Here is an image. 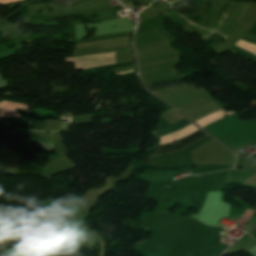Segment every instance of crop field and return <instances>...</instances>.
Returning a JSON list of instances; mask_svg holds the SVG:
<instances>
[{"label": "crop field", "mask_w": 256, "mask_h": 256, "mask_svg": "<svg viewBox=\"0 0 256 256\" xmlns=\"http://www.w3.org/2000/svg\"><path fill=\"white\" fill-rule=\"evenodd\" d=\"M52 255L54 256H93V251L79 246V245H70L64 244L53 251ZM48 255V256H52Z\"/></svg>", "instance_id": "8a807250"}, {"label": "crop field", "mask_w": 256, "mask_h": 256, "mask_svg": "<svg viewBox=\"0 0 256 256\" xmlns=\"http://www.w3.org/2000/svg\"><path fill=\"white\" fill-rule=\"evenodd\" d=\"M204 135L206 134H204L202 131L199 130L194 134L177 141L178 143L176 144L170 143L162 146H156L154 148L157 154L178 150V149H181L183 146L191 144L192 142L196 141L197 139L201 138Z\"/></svg>", "instance_id": "ac0d7876"}, {"label": "crop field", "mask_w": 256, "mask_h": 256, "mask_svg": "<svg viewBox=\"0 0 256 256\" xmlns=\"http://www.w3.org/2000/svg\"><path fill=\"white\" fill-rule=\"evenodd\" d=\"M189 124H191V123H189L187 120L183 119L168 128L157 130V131H152V133L156 138H158L160 136H164V135H168L173 132H176Z\"/></svg>", "instance_id": "34b2d1b8"}, {"label": "crop field", "mask_w": 256, "mask_h": 256, "mask_svg": "<svg viewBox=\"0 0 256 256\" xmlns=\"http://www.w3.org/2000/svg\"><path fill=\"white\" fill-rule=\"evenodd\" d=\"M182 80H184V78L150 83V84H146V86L149 88L150 91H153V90H158V89H162V88H166V87H170V86L183 85V84H185L184 82L177 83Z\"/></svg>", "instance_id": "412701ff"}, {"label": "crop field", "mask_w": 256, "mask_h": 256, "mask_svg": "<svg viewBox=\"0 0 256 256\" xmlns=\"http://www.w3.org/2000/svg\"><path fill=\"white\" fill-rule=\"evenodd\" d=\"M53 5H59V6H64V7H70L74 4H77L79 2H83V0H51ZM42 2V1H38ZM36 3V2H28V6Z\"/></svg>", "instance_id": "f4fd0767"}, {"label": "crop field", "mask_w": 256, "mask_h": 256, "mask_svg": "<svg viewBox=\"0 0 256 256\" xmlns=\"http://www.w3.org/2000/svg\"><path fill=\"white\" fill-rule=\"evenodd\" d=\"M27 139L30 140L31 142H38L39 145L42 146V148L46 151L52 150L55 145L53 143H48V142H44V141L34 140V139H30V138H27Z\"/></svg>", "instance_id": "dd49c442"}, {"label": "crop field", "mask_w": 256, "mask_h": 256, "mask_svg": "<svg viewBox=\"0 0 256 256\" xmlns=\"http://www.w3.org/2000/svg\"><path fill=\"white\" fill-rule=\"evenodd\" d=\"M254 208H256V206H253Z\"/></svg>", "instance_id": "e52e79f7"}]
</instances>
